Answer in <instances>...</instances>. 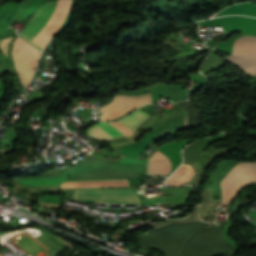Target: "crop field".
Segmentation results:
<instances>
[{
    "instance_id": "obj_1",
    "label": "crop field",
    "mask_w": 256,
    "mask_h": 256,
    "mask_svg": "<svg viewBox=\"0 0 256 256\" xmlns=\"http://www.w3.org/2000/svg\"><path fill=\"white\" fill-rule=\"evenodd\" d=\"M147 116H148L147 114L137 110L133 114H131L130 116L124 119H121L116 122H107V123L113 126L116 130H118L124 136L131 137L133 135L135 126L139 124ZM107 123L104 122V123H98L96 125H93L89 129H87L86 132L87 134L97 139H100L102 141L115 138L118 136H123Z\"/></svg>"
},
{
    "instance_id": "obj_2",
    "label": "crop field",
    "mask_w": 256,
    "mask_h": 256,
    "mask_svg": "<svg viewBox=\"0 0 256 256\" xmlns=\"http://www.w3.org/2000/svg\"><path fill=\"white\" fill-rule=\"evenodd\" d=\"M256 180V163L237 164L221 181L223 203H229L246 184Z\"/></svg>"
},
{
    "instance_id": "obj_3",
    "label": "crop field",
    "mask_w": 256,
    "mask_h": 256,
    "mask_svg": "<svg viewBox=\"0 0 256 256\" xmlns=\"http://www.w3.org/2000/svg\"><path fill=\"white\" fill-rule=\"evenodd\" d=\"M256 58V37L244 36L234 41L233 54L224 58L245 70ZM250 78L256 74V60L244 71Z\"/></svg>"
},
{
    "instance_id": "obj_4",
    "label": "crop field",
    "mask_w": 256,
    "mask_h": 256,
    "mask_svg": "<svg viewBox=\"0 0 256 256\" xmlns=\"http://www.w3.org/2000/svg\"><path fill=\"white\" fill-rule=\"evenodd\" d=\"M136 196V195H135ZM131 189L124 190H75L74 200L100 203L139 204Z\"/></svg>"
},
{
    "instance_id": "obj_5",
    "label": "crop field",
    "mask_w": 256,
    "mask_h": 256,
    "mask_svg": "<svg viewBox=\"0 0 256 256\" xmlns=\"http://www.w3.org/2000/svg\"><path fill=\"white\" fill-rule=\"evenodd\" d=\"M56 5L57 0L44 3V5L40 6L39 10L35 13L32 20L28 23L26 29L20 34V36L25 40L29 41L30 43H32L33 45H35L36 47H38L39 49H41L32 41L49 20Z\"/></svg>"
},
{
    "instance_id": "obj_6",
    "label": "crop field",
    "mask_w": 256,
    "mask_h": 256,
    "mask_svg": "<svg viewBox=\"0 0 256 256\" xmlns=\"http://www.w3.org/2000/svg\"><path fill=\"white\" fill-rule=\"evenodd\" d=\"M116 105L122 110L125 114L128 111L137 108L141 105H145L151 102L150 94L139 95V96H123L118 95L113 100Z\"/></svg>"
},
{
    "instance_id": "obj_7",
    "label": "crop field",
    "mask_w": 256,
    "mask_h": 256,
    "mask_svg": "<svg viewBox=\"0 0 256 256\" xmlns=\"http://www.w3.org/2000/svg\"><path fill=\"white\" fill-rule=\"evenodd\" d=\"M61 187H128V180L64 182Z\"/></svg>"
},
{
    "instance_id": "obj_8",
    "label": "crop field",
    "mask_w": 256,
    "mask_h": 256,
    "mask_svg": "<svg viewBox=\"0 0 256 256\" xmlns=\"http://www.w3.org/2000/svg\"><path fill=\"white\" fill-rule=\"evenodd\" d=\"M12 56L15 60V69L17 70L20 80L25 87L29 82L30 78L32 77L34 69L24 60L17 57L15 54L12 53Z\"/></svg>"
},
{
    "instance_id": "obj_9",
    "label": "crop field",
    "mask_w": 256,
    "mask_h": 256,
    "mask_svg": "<svg viewBox=\"0 0 256 256\" xmlns=\"http://www.w3.org/2000/svg\"><path fill=\"white\" fill-rule=\"evenodd\" d=\"M10 38H5L2 40L1 45H0V49L6 54V47H7V43L10 41Z\"/></svg>"
}]
</instances>
